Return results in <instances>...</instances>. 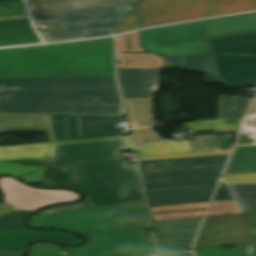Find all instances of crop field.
Masks as SVG:
<instances>
[{
    "mask_svg": "<svg viewBox=\"0 0 256 256\" xmlns=\"http://www.w3.org/2000/svg\"><path fill=\"white\" fill-rule=\"evenodd\" d=\"M24 17H29V16L28 15H24V16L6 17V18H0V20L14 19V18H24Z\"/></svg>",
    "mask_w": 256,
    "mask_h": 256,
    "instance_id": "crop-field-43",
    "label": "crop field"
},
{
    "mask_svg": "<svg viewBox=\"0 0 256 256\" xmlns=\"http://www.w3.org/2000/svg\"><path fill=\"white\" fill-rule=\"evenodd\" d=\"M55 140L117 135L113 124L123 117L49 115Z\"/></svg>",
    "mask_w": 256,
    "mask_h": 256,
    "instance_id": "crop-field-14",
    "label": "crop field"
},
{
    "mask_svg": "<svg viewBox=\"0 0 256 256\" xmlns=\"http://www.w3.org/2000/svg\"><path fill=\"white\" fill-rule=\"evenodd\" d=\"M251 131L253 132V139L256 140V130H251Z\"/></svg>",
    "mask_w": 256,
    "mask_h": 256,
    "instance_id": "crop-field-44",
    "label": "crop field"
},
{
    "mask_svg": "<svg viewBox=\"0 0 256 256\" xmlns=\"http://www.w3.org/2000/svg\"><path fill=\"white\" fill-rule=\"evenodd\" d=\"M32 14L136 4L138 0H27Z\"/></svg>",
    "mask_w": 256,
    "mask_h": 256,
    "instance_id": "crop-field-20",
    "label": "crop field"
},
{
    "mask_svg": "<svg viewBox=\"0 0 256 256\" xmlns=\"http://www.w3.org/2000/svg\"><path fill=\"white\" fill-rule=\"evenodd\" d=\"M256 172V141L243 127L223 175Z\"/></svg>",
    "mask_w": 256,
    "mask_h": 256,
    "instance_id": "crop-field-18",
    "label": "crop field"
},
{
    "mask_svg": "<svg viewBox=\"0 0 256 256\" xmlns=\"http://www.w3.org/2000/svg\"><path fill=\"white\" fill-rule=\"evenodd\" d=\"M235 96H220L219 119L243 117L251 99L238 96L234 107L245 109H231Z\"/></svg>",
    "mask_w": 256,
    "mask_h": 256,
    "instance_id": "crop-field-29",
    "label": "crop field"
},
{
    "mask_svg": "<svg viewBox=\"0 0 256 256\" xmlns=\"http://www.w3.org/2000/svg\"><path fill=\"white\" fill-rule=\"evenodd\" d=\"M118 78L123 98H153L159 70L118 69Z\"/></svg>",
    "mask_w": 256,
    "mask_h": 256,
    "instance_id": "crop-field-16",
    "label": "crop field"
},
{
    "mask_svg": "<svg viewBox=\"0 0 256 256\" xmlns=\"http://www.w3.org/2000/svg\"><path fill=\"white\" fill-rule=\"evenodd\" d=\"M29 223L36 227L68 228L86 237L150 227L145 200L37 215Z\"/></svg>",
    "mask_w": 256,
    "mask_h": 256,
    "instance_id": "crop-field-5",
    "label": "crop field"
},
{
    "mask_svg": "<svg viewBox=\"0 0 256 256\" xmlns=\"http://www.w3.org/2000/svg\"><path fill=\"white\" fill-rule=\"evenodd\" d=\"M71 167L69 187L86 194L85 202L92 206L83 203L56 206L37 214L145 199L138 166L128 165L126 159Z\"/></svg>",
    "mask_w": 256,
    "mask_h": 256,
    "instance_id": "crop-field-4",
    "label": "crop field"
},
{
    "mask_svg": "<svg viewBox=\"0 0 256 256\" xmlns=\"http://www.w3.org/2000/svg\"><path fill=\"white\" fill-rule=\"evenodd\" d=\"M69 256H140L156 254L154 240L138 231L88 238L86 245L67 248Z\"/></svg>",
    "mask_w": 256,
    "mask_h": 256,
    "instance_id": "crop-field-12",
    "label": "crop field"
},
{
    "mask_svg": "<svg viewBox=\"0 0 256 256\" xmlns=\"http://www.w3.org/2000/svg\"><path fill=\"white\" fill-rule=\"evenodd\" d=\"M141 47L158 56H181L169 26L141 32Z\"/></svg>",
    "mask_w": 256,
    "mask_h": 256,
    "instance_id": "crop-field-22",
    "label": "crop field"
},
{
    "mask_svg": "<svg viewBox=\"0 0 256 256\" xmlns=\"http://www.w3.org/2000/svg\"><path fill=\"white\" fill-rule=\"evenodd\" d=\"M50 143L0 147V174L41 182Z\"/></svg>",
    "mask_w": 256,
    "mask_h": 256,
    "instance_id": "crop-field-13",
    "label": "crop field"
},
{
    "mask_svg": "<svg viewBox=\"0 0 256 256\" xmlns=\"http://www.w3.org/2000/svg\"><path fill=\"white\" fill-rule=\"evenodd\" d=\"M27 213L28 212L25 211H19L16 213L0 216V232L24 228V226L21 224L23 218L20 216Z\"/></svg>",
    "mask_w": 256,
    "mask_h": 256,
    "instance_id": "crop-field-32",
    "label": "crop field"
},
{
    "mask_svg": "<svg viewBox=\"0 0 256 256\" xmlns=\"http://www.w3.org/2000/svg\"><path fill=\"white\" fill-rule=\"evenodd\" d=\"M48 114L124 116L115 76L0 78V132H47Z\"/></svg>",
    "mask_w": 256,
    "mask_h": 256,
    "instance_id": "crop-field-1",
    "label": "crop field"
},
{
    "mask_svg": "<svg viewBox=\"0 0 256 256\" xmlns=\"http://www.w3.org/2000/svg\"><path fill=\"white\" fill-rule=\"evenodd\" d=\"M42 43L29 18L0 21V47Z\"/></svg>",
    "mask_w": 256,
    "mask_h": 256,
    "instance_id": "crop-field-21",
    "label": "crop field"
},
{
    "mask_svg": "<svg viewBox=\"0 0 256 256\" xmlns=\"http://www.w3.org/2000/svg\"><path fill=\"white\" fill-rule=\"evenodd\" d=\"M134 6L73 10L32 16L35 23L61 21L63 30L40 32L46 42H52L115 34L116 26Z\"/></svg>",
    "mask_w": 256,
    "mask_h": 256,
    "instance_id": "crop-field-8",
    "label": "crop field"
},
{
    "mask_svg": "<svg viewBox=\"0 0 256 256\" xmlns=\"http://www.w3.org/2000/svg\"><path fill=\"white\" fill-rule=\"evenodd\" d=\"M115 75L113 38L0 49V77Z\"/></svg>",
    "mask_w": 256,
    "mask_h": 256,
    "instance_id": "crop-field-2",
    "label": "crop field"
},
{
    "mask_svg": "<svg viewBox=\"0 0 256 256\" xmlns=\"http://www.w3.org/2000/svg\"><path fill=\"white\" fill-rule=\"evenodd\" d=\"M248 113H256V96Z\"/></svg>",
    "mask_w": 256,
    "mask_h": 256,
    "instance_id": "crop-field-41",
    "label": "crop field"
},
{
    "mask_svg": "<svg viewBox=\"0 0 256 256\" xmlns=\"http://www.w3.org/2000/svg\"><path fill=\"white\" fill-rule=\"evenodd\" d=\"M31 239H53L68 244L80 242L76 236L63 232H35L22 229L0 233V250L21 253L23 245Z\"/></svg>",
    "mask_w": 256,
    "mask_h": 256,
    "instance_id": "crop-field-19",
    "label": "crop field"
},
{
    "mask_svg": "<svg viewBox=\"0 0 256 256\" xmlns=\"http://www.w3.org/2000/svg\"><path fill=\"white\" fill-rule=\"evenodd\" d=\"M137 155L192 152L189 141H169L136 148Z\"/></svg>",
    "mask_w": 256,
    "mask_h": 256,
    "instance_id": "crop-field-26",
    "label": "crop field"
},
{
    "mask_svg": "<svg viewBox=\"0 0 256 256\" xmlns=\"http://www.w3.org/2000/svg\"><path fill=\"white\" fill-rule=\"evenodd\" d=\"M128 35V38L126 37ZM117 37L118 68L138 69H161L163 68L162 58L154 54H128L119 52H140L144 51L139 47V31ZM126 39H129L130 50H128Z\"/></svg>",
    "mask_w": 256,
    "mask_h": 256,
    "instance_id": "crop-field-17",
    "label": "crop field"
},
{
    "mask_svg": "<svg viewBox=\"0 0 256 256\" xmlns=\"http://www.w3.org/2000/svg\"><path fill=\"white\" fill-rule=\"evenodd\" d=\"M202 219L153 222L161 254L190 250Z\"/></svg>",
    "mask_w": 256,
    "mask_h": 256,
    "instance_id": "crop-field-15",
    "label": "crop field"
},
{
    "mask_svg": "<svg viewBox=\"0 0 256 256\" xmlns=\"http://www.w3.org/2000/svg\"><path fill=\"white\" fill-rule=\"evenodd\" d=\"M256 242V214L207 218L194 250Z\"/></svg>",
    "mask_w": 256,
    "mask_h": 256,
    "instance_id": "crop-field-11",
    "label": "crop field"
},
{
    "mask_svg": "<svg viewBox=\"0 0 256 256\" xmlns=\"http://www.w3.org/2000/svg\"><path fill=\"white\" fill-rule=\"evenodd\" d=\"M227 156L140 162L149 205L209 201Z\"/></svg>",
    "mask_w": 256,
    "mask_h": 256,
    "instance_id": "crop-field-3",
    "label": "crop field"
},
{
    "mask_svg": "<svg viewBox=\"0 0 256 256\" xmlns=\"http://www.w3.org/2000/svg\"><path fill=\"white\" fill-rule=\"evenodd\" d=\"M157 256V255H154ZM161 256H192L190 252H184V253H175V254H166Z\"/></svg>",
    "mask_w": 256,
    "mask_h": 256,
    "instance_id": "crop-field-40",
    "label": "crop field"
},
{
    "mask_svg": "<svg viewBox=\"0 0 256 256\" xmlns=\"http://www.w3.org/2000/svg\"><path fill=\"white\" fill-rule=\"evenodd\" d=\"M170 27L183 56L214 54L208 39L256 31V12Z\"/></svg>",
    "mask_w": 256,
    "mask_h": 256,
    "instance_id": "crop-field-9",
    "label": "crop field"
},
{
    "mask_svg": "<svg viewBox=\"0 0 256 256\" xmlns=\"http://www.w3.org/2000/svg\"><path fill=\"white\" fill-rule=\"evenodd\" d=\"M136 29H139V19L138 17L129 14L117 26L116 34Z\"/></svg>",
    "mask_w": 256,
    "mask_h": 256,
    "instance_id": "crop-field-35",
    "label": "crop field"
},
{
    "mask_svg": "<svg viewBox=\"0 0 256 256\" xmlns=\"http://www.w3.org/2000/svg\"><path fill=\"white\" fill-rule=\"evenodd\" d=\"M16 210L15 207L9 205L7 202L0 203V214Z\"/></svg>",
    "mask_w": 256,
    "mask_h": 256,
    "instance_id": "crop-field-39",
    "label": "crop field"
},
{
    "mask_svg": "<svg viewBox=\"0 0 256 256\" xmlns=\"http://www.w3.org/2000/svg\"><path fill=\"white\" fill-rule=\"evenodd\" d=\"M229 152H230V150H226V151L198 152V153H183V154H166V155L143 156V157H138V159H139V161H144V160L180 158V157L221 155V154H229Z\"/></svg>",
    "mask_w": 256,
    "mask_h": 256,
    "instance_id": "crop-field-33",
    "label": "crop field"
},
{
    "mask_svg": "<svg viewBox=\"0 0 256 256\" xmlns=\"http://www.w3.org/2000/svg\"><path fill=\"white\" fill-rule=\"evenodd\" d=\"M164 68H180L184 69L182 58L163 57Z\"/></svg>",
    "mask_w": 256,
    "mask_h": 256,
    "instance_id": "crop-field-37",
    "label": "crop field"
},
{
    "mask_svg": "<svg viewBox=\"0 0 256 256\" xmlns=\"http://www.w3.org/2000/svg\"><path fill=\"white\" fill-rule=\"evenodd\" d=\"M185 69L204 74L206 83H222L214 55L183 58Z\"/></svg>",
    "mask_w": 256,
    "mask_h": 256,
    "instance_id": "crop-field-24",
    "label": "crop field"
},
{
    "mask_svg": "<svg viewBox=\"0 0 256 256\" xmlns=\"http://www.w3.org/2000/svg\"><path fill=\"white\" fill-rule=\"evenodd\" d=\"M233 199L225 184L221 181L213 201Z\"/></svg>",
    "mask_w": 256,
    "mask_h": 256,
    "instance_id": "crop-field-38",
    "label": "crop field"
},
{
    "mask_svg": "<svg viewBox=\"0 0 256 256\" xmlns=\"http://www.w3.org/2000/svg\"><path fill=\"white\" fill-rule=\"evenodd\" d=\"M240 213L234 200L213 202L207 217Z\"/></svg>",
    "mask_w": 256,
    "mask_h": 256,
    "instance_id": "crop-field-31",
    "label": "crop field"
},
{
    "mask_svg": "<svg viewBox=\"0 0 256 256\" xmlns=\"http://www.w3.org/2000/svg\"><path fill=\"white\" fill-rule=\"evenodd\" d=\"M243 118L211 120L200 122H189L184 125H191L192 130H213L214 133L236 132Z\"/></svg>",
    "mask_w": 256,
    "mask_h": 256,
    "instance_id": "crop-field-27",
    "label": "crop field"
},
{
    "mask_svg": "<svg viewBox=\"0 0 256 256\" xmlns=\"http://www.w3.org/2000/svg\"><path fill=\"white\" fill-rule=\"evenodd\" d=\"M21 254H16V253H7V252H1L0 251V256H20Z\"/></svg>",
    "mask_w": 256,
    "mask_h": 256,
    "instance_id": "crop-field-42",
    "label": "crop field"
},
{
    "mask_svg": "<svg viewBox=\"0 0 256 256\" xmlns=\"http://www.w3.org/2000/svg\"><path fill=\"white\" fill-rule=\"evenodd\" d=\"M209 202L204 203H192V204H180V205H168V206H156L150 207L153 221L159 220H172V219H184V218H197L203 217L205 211H192V212H174V213H164L171 211H183V210H195V209H205Z\"/></svg>",
    "mask_w": 256,
    "mask_h": 256,
    "instance_id": "crop-field-23",
    "label": "crop field"
},
{
    "mask_svg": "<svg viewBox=\"0 0 256 256\" xmlns=\"http://www.w3.org/2000/svg\"><path fill=\"white\" fill-rule=\"evenodd\" d=\"M249 117H256V114H248Z\"/></svg>",
    "mask_w": 256,
    "mask_h": 256,
    "instance_id": "crop-field-45",
    "label": "crop field"
},
{
    "mask_svg": "<svg viewBox=\"0 0 256 256\" xmlns=\"http://www.w3.org/2000/svg\"><path fill=\"white\" fill-rule=\"evenodd\" d=\"M6 1H16V0H0V2H6Z\"/></svg>",
    "mask_w": 256,
    "mask_h": 256,
    "instance_id": "crop-field-46",
    "label": "crop field"
},
{
    "mask_svg": "<svg viewBox=\"0 0 256 256\" xmlns=\"http://www.w3.org/2000/svg\"><path fill=\"white\" fill-rule=\"evenodd\" d=\"M197 256H256V243L236 245L233 249L212 248L194 251Z\"/></svg>",
    "mask_w": 256,
    "mask_h": 256,
    "instance_id": "crop-field-28",
    "label": "crop field"
},
{
    "mask_svg": "<svg viewBox=\"0 0 256 256\" xmlns=\"http://www.w3.org/2000/svg\"><path fill=\"white\" fill-rule=\"evenodd\" d=\"M27 14L23 1L0 3V17Z\"/></svg>",
    "mask_w": 256,
    "mask_h": 256,
    "instance_id": "crop-field-34",
    "label": "crop field"
},
{
    "mask_svg": "<svg viewBox=\"0 0 256 256\" xmlns=\"http://www.w3.org/2000/svg\"><path fill=\"white\" fill-rule=\"evenodd\" d=\"M196 141H190L193 152L219 150V135L195 136Z\"/></svg>",
    "mask_w": 256,
    "mask_h": 256,
    "instance_id": "crop-field-30",
    "label": "crop field"
},
{
    "mask_svg": "<svg viewBox=\"0 0 256 256\" xmlns=\"http://www.w3.org/2000/svg\"><path fill=\"white\" fill-rule=\"evenodd\" d=\"M256 10V0H141L132 11L142 27Z\"/></svg>",
    "mask_w": 256,
    "mask_h": 256,
    "instance_id": "crop-field-7",
    "label": "crop field"
},
{
    "mask_svg": "<svg viewBox=\"0 0 256 256\" xmlns=\"http://www.w3.org/2000/svg\"><path fill=\"white\" fill-rule=\"evenodd\" d=\"M241 213H256V184H226Z\"/></svg>",
    "mask_w": 256,
    "mask_h": 256,
    "instance_id": "crop-field-25",
    "label": "crop field"
},
{
    "mask_svg": "<svg viewBox=\"0 0 256 256\" xmlns=\"http://www.w3.org/2000/svg\"><path fill=\"white\" fill-rule=\"evenodd\" d=\"M226 182H256V174L223 176Z\"/></svg>",
    "mask_w": 256,
    "mask_h": 256,
    "instance_id": "crop-field-36",
    "label": "crop field"
},
{
    "mask_svg": "<svg viewBox=\"0 0 256 256\" xmlns=\"http://www.w3.org/2000/svg\"><path fill=\"white\" fill-rule=\"evenodd\" d=\"M219 76L230 87L256 85V32L209 39Z\"/></svg>",
    "mask_w": 256,
    "mask_h": 256,
    "instance_id": "crop-field-10",
    "label": "crop field"
},
{
    "mask_svg": "<svg viewBox=\"0 0 256 256\" xmlns=\"http://www.w3.org/2000/svg\"><path fill=\"white\" fill-rule=\"evenodd\" d=\"M130 149L129 136L51 143L42 186H68L71 165L120 159Z\"/></svg>",
    "mask_w": 256,
    "mask_h": 256,
    "instance_id": "crop-field-6",
    "label": "crop field"
}]
</instances>
